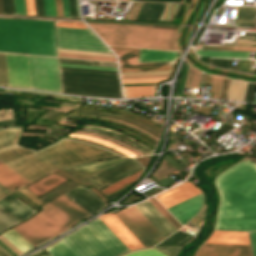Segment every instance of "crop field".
Segmentation results:
<instances>
[{
  "instance_id": "8a807250",
  "label": "crop field",
  "mask_w": 256,
  "mask_h": 256,
  "mask_svg": "<svg viewBox=\"0 0 256 256\" xmlns=\"http://www.w3.org/2000/svg\"><path fill=\"white\" fill-rule=\"evenodd\" d=\"M220 207L216 229L256 230V164L243 161L216 178Z\"/></svg>"
},
{
  "instance_id": "ac0d7876",
  "label": "crop field",
  "mask_w": 256,
  "mask_h": 256,
  "mask_svg": "<svg viewBox=\"0 0 256 256\" xmlns=\"http://www.w3.org/2000/svg\"><path fill=\"white\" fill-rule=\"evenodd\" d=\"M116 156L101 148L64 139L37 153L14 147L0 152V161L29 182L53 168Z\"/></svg>"
},
{
  "instance_id": "34b2d1b8",
  "label": "crop field",
  "mask_w": 256,
  "mask_h": 256,
  "mask_svg": "<svg viewBox=\"0 0 256 256\" xmlns=\"http://www.w3.org/2000/svg\"><path fill=\"white\" fill-rule=\"evenodd\" d=\"M0 51L57 56L53 22L0 19Z\"/></svg>"
},
{
  "instance_id": "412701ff",
  "label": "crop field",
  "mask_w": 256,
  "mask_h": 256,
  "mask_svg": "<svg viewBox=\"0 0 256 256\" xmlns=\"http://www.w3.org/2000/svg\"><path fill=\"white\" fill-rule=\"evenodd\" d=\"M88 216L77 204L62 195L43 205L32 219L13 229L36 246Z\"/></svg>"
},
{
  "instance_id": "f4fd0767",
  "label": "crop field",
  "mask_w": 256,
  "mask_h": 256,
  "mask_svg": "<svg viewBox=\"0 0 256 256\" xmlns=\"http://www.w3.org/2000/svg\"><path fill=\"white\" fill-rule=\"evenodd\" d=\"M108 45L159 50H175V32L171 29L89 25Z\"/></svg>"
},
{
  "instance_id": "dd49c442",
  "label": "crop field",
  "mask_w": 256,
  "mask_h": 256,
  "mask_svg": "<svg viewBox=\"0 0 256 256\" xmlns=\"http://www.w3.org/2000/svg\"><path fill=\"white\" fill-rule=\"evenodd\" d=\"M61 241L75 256H116L129 251L100 218Z\"/></svg>"
},
{
  "instance_id": "e52e79f7",
  "label": "crop field",
  "mask_w": 256,
  "mask_h": 256,
  "mask_svg": "<svg viewBox=\"0 0 256 256\" xmlns=\"http://www.w3.org/2000/svg\"><path fill=\"white\" fill-rule=\"evenodd\" d=\"M32 88L60 93L57 58L28 56Z\"/></svg>"
},
{
  "instance_id": "d8731c3e",
  "label": "crop field",
  "mask_w": 256,
  "mask_h": 256,
  "mask_svg": "<svg viewBox=\"0 0 256 256\" xmlns=\"http://www.w3.org/2000/svg\"><path fill=\"white\" fill-rule=\"evenodd\" d=\"M113 214L144 246L155 245L165 239L135 206Z\"/></svg>"
},
{
  "instance_id": "5a996713",
  "label": "crop field",
  "mask_w": 256,
  "mask_h": 256,
  "mask_svg": "<svg viewBox=\"0 0 256 256\" xmlns=\"http://www.w3.org/2000/svg\"><path fill=\"white\" fill-rule=\"evenodd\" d=\"M58 48L107 52V47L91 30L55 27Z\"/></svg>"
},
{
  "instance_id": "3316defc",
  "label": "crop field",
  "mask_w": 256,
  "mask_h": 256,
  "mask_svg": "<svg viewBox=\"0 0 256 256\" xmlns=\"http://www.w3.org/2000/svg\"><path fill=\"white\" fill-rule=\"evenodd\" d=\"M9 86L31 88L27 56L5 54Z\"/></svg>"
},
{
  "instance_id": "28ad6ade",
  "label": "crop field",
  "mask_w": 256,
  "mask_h": 256,
  "mask_svg": "<svg viewBox=\"0 0 256 256\" xmlns=\"http://www.w3.org/2000/svg\"><path fill=\"white\" fill-rule=\"evenodd\" d=\"M139 169H142V167L138 165L132 158H130L103 169L93 175L109 185Z\"/></svg>"
},
{
  "instance_id": "d1516ede",
  "label": "crop field",
  "mask_w": 256,
  "mask_h": 256,
  "mask_svg": "<svg viewBox=\"0 0 256 256\" xmlns=\"http://www.w3.org/2000/svg\"><path fill=\"white\" fill-rule=\"evenodd\" d=\"M195 256H251L249 246L203 244Z\"/></svg>"
},
{
  "instance_id": "22f410ed",
  "label": "crop field",
  "mask_w": 256,
  "mask_h": 256,
  "mask_svg": "<svg viewBox=\"0 0 256 256\" xmlns=\"http://www.w3.org/2000/svg\"><path fill=\"white\" fill-rule=\"evenodd\" d=\"M200 192L201 191L197 189L192 183L187 182L157 196L156 198L166 208H168Z\"/></svg>"
},
{
  "instance_id": "cbeb9de0",
  "label": "crop field",
  "mask_w": 256,
  "mask_h": 256,
  "mask_svg": "<svg viewBox=\"0 0 256 256\" xmlns=\"http://www.w3.org/2000/svg\"><path fill=\"white\" fill-rule=\"evenodd\" d=\"M71 199L75 200L80 204L84 209H86L91 214L105 206L93 192L87 190L82 186H77L70 191L64 193Z\"/></svg>"
},
{
  "instance_id": "5142ce71",
  "label": "crop field",
  "mask_w": 256,
  "mask_h": 256,
  "mask_svg": "<svg viewBox=\"0 0 256 256\" xmlns=\"http://www.w3.org/2000/svg\"><path fill=\"white\" fill-rule=\"evenodd\" d=\"M202 201L203 197L201 193L195 197H192L186 201L168 208V210L182 225H184L198 212Z\"/></svg>"
},
{
  "instance_id": "d9b57169",
  "label": "crop field",
  "mask_w": 256,
  "mask_h": 256,
  "mask_svg": "<svg viewBox=\"0 0 256 256\" xmlns=\"http://www.w3.org/2000/svg\"><path fill=\"white\" fill-rule=\"evenodd\" d=\"M100 218L130 250L143 246L113 214H108Z\"/></svg>"
},
{
  "instance_id": "733c2abd",
  "label": "crop field",
  "mask_w": 256,
  "mask_h": 256,
  "mask_svg": "<svg viewBox=\"0 0 256 256\" xmlns=\"http://www.w3.org/2000/svg\"><path fill=\"white\" fill-rule=\"evenodd\" d=\"M0 208L20 220H23L36 212L14 197L11 193L0 199Z\"/></svg>"
},
{
  "instance_id": "4a817a6b",
  "label": "crop field",
  "mask_w": 256,
  "mask_h": 256,
  "mask_svg": "<svg viewBox=\"0 0 256 256\" xmlns=\"http://www.w3.org/2000/svg\"><path fill=\"white\" fill-rule=\"evenodd\" d=\"M206 243L249 245L247 232L214 231Z\"/></svg>"
},
{
  "instance_id": "bc2a9ffb",
  "label": "crop field",
  "mask_w": 256,
  "mask_h": 256,
  "mask_svg": "<svg viewBox=\"0 0 256 256\" xmlns=\"http://www.w3.org/2000/svg\"><path fill=\"white\" fill-rule=\"evenodd\" d=\"M21 176V175H20ZM0 162V184L11 190L19 185L29 183Z\"/></svg>"
},
{
  "instance_id": "214f88e0",
  "label": "crop field",
  "mask_w": 256,
  "mask_h": 256,
  "mask_svg": "<svg viewBox=\"0 0 256 256\" xmlns=\"http://www.w3.org/2000/svg\"><path fill=\"white\" fill-rule=\"evenodd\" d=\"M177 56V51L166 52L141 49L138 62L175 61Z\"/></svg>"
},
{
  "instance_id": "92a150f3",
  "label": "crop field",
  "mask_w": 256,
  "mask_h": 256,
  "mask_svg": "<svg viewBox=\"0 0 256 256\" xmlns=\"http://www.w3.org/2000/svg\"><path fill=\"white\" fill-rule=\"evenodd\" d=\"M200 57L249 58V52L194 50Z\"/></svg>"
},
{
  "instance_id": "dafd665d",
  "label": "crop field",
  "mask_w": 256,
  "mask_h": 256,
  "mask_svg": "<svg viewBox=\"0 0 256 256\" xmlns=\"http://www.w3.org/2000/svg\"><path fill=\"white\" fill-rule=\"evenodd\" d=\"M117 55L119 63L137 62L140 49L109 46Z\"/></svg>"
},
{
  "instance_id": "00972430",
  "label": "crop field",
  "mask_w": 256,
  "mask_h": 256,
  "mask_svg": "<svg viewBox=\"0 0 256 256\" xmlns=\"http://www.w3.org/2000/svg\"><path fill=\"white\" fill-rule=\"evenodd\" d=\"M22 253L34 247L13 229L1 234Z\"/></svg>"
},
{
  "instance_id": "a9b5d70f",
  "label": "crop field",
  "mask_w": 256,
  "mask_h": 256,
  "mask_svg": "<svg viewBox=\"0 0 256 256\" xmlns=\"http://www.w3.org/2000/svg\"><path fill=\"white\" fill-rule=\"evenodd\" d=\"M156 86L123 87L124 97H149L155 96Z\"/></svg>"
},
{
  "instance_id": "4177f3b9",
  "label": "crop field",
  "mask_w": 256,
  "mask_h": 256,
  "mask_svg": "<svg viewBox=\"0 0 256 256\" xmlns=\"http://www.w3.org/2000/svg\"><path fill=\"white\" fill-rule=\"evenodd\" d=\"M21 129L0 131V150L16 145Z\"/></svg>"
},
{
  "instance_id": "730fd06b",
  "label": "crop field",
  "mask_w": 256,
  "mask_h": 256,
  "mask_svg": "<svg viewBox=\"0 0 256 256\" xmlns=\"http://www.w3.org/2000/svg\"><path fill=\"white\" fill-rule=\"evenodd\" d=\"M67 136L76 137V138H82V139L90 140V141H93V142H97V143H100V144L105 145L107 147H110V148H112L114 150H117V151H119L121 153H124V154H126L128 156H137V155L131 153L130 151H128V150H126V149H124V148H122V147H120V146H118L116 144H113L111 142L105 141V140L100 139V138H96V137H92V136H88V135H81V134H69Z\"/></svg>"
},
{
  "instance_id": "eef30255",
  "label": "crop field",
  "mask_w": 256,
  "mask_h": 256,
  "mask_svg": "<svg viewBox=\"0 0 256 256\" xmlns=\"http://www.w3.org/2000/svg\"><path fill=\"white\" fill-rule=\"evenodd\" d=\"M142 204L148 209V211L163 225V227L171 234L176 231L169 222L154 208V206L148 201L142 202Z\"/></svg>"
},
{
  "instance_id": "ae1a2a85",
  "label": "crop field",
  "mask_w": 256,
  "mask_h": 256,
  "mask_svg": "<svg viewBox=\"0 0 256 256\" xmlns=\"http://www.w3.org/2000/svg\"><path fill=\"white\" fill-rule=\"evenodd\" d=\"M141 171L142 170H140V171H138V172H136V173H134V174H132V175H130V176H128V177H126V178H124V179L114 183V184H112L111 186H109V187H107V188H105V189H103L101 191L105 195H107V194H109V193H111V192H113V191H115V190H117V189H119V188H121L123 186H126V185L134 182L135 179L137 178V176L140 174Z\"/></svg>"
},
{
  "instance_id": "d3111659",
  "label": "crop field",
  "mask_w": 256,
  "mask_h": 256,
  "mask_svg": "<svg viewBox=\"0 0 256 256\" xmlns=\"http://www.w3.org/2000/svg\"><path fill=\"white\" fill-rule=\"evenodd\" d=\"M46 250L52 256H74L61 241L51 245L50 247L46 248Z\"/></svg>"
},
{
  "instance_id": "750c4746",
  "label": "crop field",
  "mask_w": 256,
  "mask_h": 256,
  "mask_svg": "<svg viewBox=\"0 0 256 256\" xmlns=\"http://www.w3.org/2000/svg\"><path fill=\"white\" fill-rule=\"evenodd\" d=\"M149 201L170 222V224L176 230H178L181 227V225L168 213V211L155 198H151L149 199Z\"/></svg>"
},
{
  "instance_id": "bd1437ed",
  "label": "crop field",
  "mask_w": 256,
  "mask_h": 256,
  "mask_svg": "<svg viewBox=\"0 0 256 256\" xmlns=\"http://www.w3.org/2000/svg\"><path fill=\"white\" fill-rule=\"evenodd\" d=\"M201 72L189 67L184 87H198Z\"/></svg>"
},
{
  "instance_id": "1d83c4d3",
  "label": "crop field",
  "mask_w": 256,
  "mask_h": 256,
  "mask_svg": "<svg viewBox=\"0 0 256 256\" xmlns=\"http://www.w3.org/2000/svg\"><path fill=\"white\" fill-rule=\"evenodd\" d=\"M78 133H84V134H89V135H93V136H97V137H100V138H103V139H106V140H109V141H112L114 143H117L119 145H122L128 149H130L131 151H133L135 154L137 155H144L142 154L140 151L136 150L135 148L131 147L130 145L120 141V140H117V139H114V138H111L109 136H106V135H102V134H97V133H92V132H86V131H76Z\"/></svg>"
},
{
  "instance_id": "120bbe31",
  "label": "crop field",
  "mask_w": 256,
  "mask_h": 256,
  "mask_svg": "<svg viewBox=\"0 0 256 256\" xmlns=\"http://www.w3.org/2000/svg\"><path fill=\"white\" fill-rule=\"evenodd\" d=\"M173 66L174 65L156 66V67H132V68H120V70L121 72L172 70Z\"/></svg>"
},
{
  "instance_id": "d32e631a",
  "label": "crop field",
  "mask_w": 256,
  "mask_h": 256,
  "mask_svg": "<svg viewBox=\"0 0 256 256\" xmlns=\"http://www.w3.org/2000/svg\"><path fill=\"white\" fill-rule=\"evenodd\" d=\"M54 24L55 26H61V27L89 29L83 22H77V21H54Z\"/></svg>"
},
{
  "instance_id": "5866460e",
  "label": "crop field",
  "mask_w": 256,
  "mask_h": 256,
  "mask_svg": "<svg viewBox=\"0 0 256 256\" xmlns=\"http://www.w3.org/2000/svg\"><path fill=\"white\" fill-rule=\"evenodd\" d=\"M0 85L8 86L4 54H0Z\"/></svg>"
},
{
  "instance_id": "028f5c9d",
  "label": "crop field",
  "mask_w": 256,
  "mask_h": 256,
  "mask_svg": "<svg viewBox=\"0 0 256 256\" xmlns=\"http://www.w3.org/2000/svg\"><path fill=\"white\" fill-rule=\"evenodd\" d=\"M6 91H15V92H21V93H28V94L52 96V97L64 98V99L75 100V101L80 100V98H77V97L63 96V95H56V94H48V93H41V92L22 91V90H12V89H7Z\"/></svg>"
},
{
  "instance_id": "e1f06a70",
  "label": "crop field",
  "mask_w": 256,
  "mask_h": 256,
  "mask_svg": "<svg viewBox=\"0 0 256 256\" xmlns=\"http://www.w3.org/2000/svg\"><path fill=\"white\" fill-rule=\"evenodd\" d=\"M59 56L116 61L115 58L58 53Z\"/></svg>"
},
{
  "instance_id": "0bd39190",
  "label": "crop field",
  "mask_w": 256,
  "mask_h": 256,
  "mask_svg": "<svg viewBox=\"0 0 256 256\" xmlns=\"http://www.w3.org/2000/svg\"><path fill=\"white\" fill-rule=\"evenodd\" d=\"M168 78L122 79V83L160 82Z\"/></svg>"
},
{
  "instance_id": "b80d0937",
  "label": "crop field",
  "mask_w": 256,
  "mask_h": 256,
  "mask_svg": "<svg viewBox=\"0 0 256 256\" xmlns=\"http://www.w3.org/2000/svg\"><path fill=\"white\" fill-rule=\"evenodd\" d=\"M58 52L115 57L113 54H107V53H96V52H85V51H74V50H63V49H58Z\"/></svg>"
},
{
  "instance_id": "c035e120",
  "label": "crop field",
  "mask_w": 256,
  "mask_h": 256,
  "mask_svg": "<svg viewBox=\"0 0 256 256\" xmlns=\"http://www.w3.org/2000/svg\"><path fill=\"white\" fill-rule=\"evenodd\" d=\"M187 68H188V65L185 64V66H184V68L182 70L181 76H180V80H179L176 96L181 97V95H182L183 85H184V81H185V77H186Z\"/></svg>"
},
{
  "instance_id": "c21b1889",
  "label": "crop field",
  "mask_w": 256,
  "mask_h": 256,
  "mask_svg": "<svg viewBox=\"0 0 256 256\" xmlns=\"http://www.w3.org/2000/svg\"><path fill=\"white\" fill-rule=\"evenodd\" d=\"M59 65L60 66H65V67H77V68H89V69L117 71V68H109V67H95V66L74 65V64H64V63H59Z\"/></svg>"
},
{
  "instance_id": "03da06ac",
  "label": "crop field",
  "mask_w": 256,
  "mask_h": 256,
  "mask_svg": "<svg viewBox=\"0 0 256 256\" xmlns=\"http://www.w3.org/2000/svg\"><path fill=\"white\" fill-rule=\"evenodd\" d=\"M221 81H222L221 78H217V77H214V76H213V78H212V83H211V87H210V89L215 90L213 97L218 98V96H219V91H220V86H221Z\"/></svg>"
},
{
  "instance_id": "b54c1fbb",
  "label": "crop field",
  "mask_w": 256,
  "mask_h": 256,
  "mask_svg": "<svg viewBox=\"0 0 256 256\" xmlns=\"http://www.w3.org/2000/svg\"><path fill=\"white\" fill-rule=\"evenodd\" d=\"M210 64L216 65L218 67H227L230 68V59H216L210 58Z\"/></svg>"
},
{
  "instance_id": "5d738f31",
  "label": "crop field",
  "mask_w": 256,
  "mask_h": 256,
  "mask_svg": "<svg viewBox=\"0 0 256 256\" xmlns=\"http://www.w3.org/2000/svg\"><path fill=\"white\" fill-rule=\"evenodd\" d=\"M180 247H158L155 248L167 256H176Z\"/></svg>"
},
{
  "instance_id": "d23c7cc5",
  "label": "crop field",
  "mask_w": 256,
  "mask_h": 256,
  "mask_svg": "<svg viewBox=\"0 0 256 256\" xmlns=\"http://www.w3.org/2000/svg\"><path fill=\"white\" fill-rule=\"evenodd\" d=\"M59 62L76 63V64H88V65H99V62L84 61V60H74V59H64V58H59Z\"/></svg>"
},
{
  "instance_id": "425ffa30",
  "label": "crop field",
  "mask_w": 256,
  "mask_h": 256,
  "mask_svg": "<svg viewBox=\"0 0 256 256\" xmlns=\"http://www.w3.org/2000/svg\"><path fill=\"white\" fill-rule=\"evenodd\" d=\"M4 13L15 14L13 0H2Z\"/></svg>"
},
{
  "instance_id": "25e5ab78",
  "label": "crop field",
  "mask_w": 256,
  "mask_h": 256,
  "mask_svg": "<svg viewBox=\"0 0 256 256\" xmlns=\"http://www.w3.org/2000/svg\"><path fill=\"white\" fill-rule=\"evenodd\" d=\"M16 14H26L24 0H14Z\"/></svg>"
},
{
  "instance_id": "73cf0c24",
  "label": "crop field",
  "mask_w": 256,
  "mask_h": 256,
  "mask_svg": "<svg viewBox=\"0 0 256 256\" xmlns=\"http://www.w3.org/2000/svg\"><path fill=\"white\" fill-rule=\"evenodd\" d=\"M19 191L22 194H24L26 197H28L30 200H32L34 203H36L38 206L44 204L43 202H41L37 197H35L32 193H30L26 189H20Z\"/></svg>"
},
{
  "instance_id": "89e229c0",
  "label": "crop field",
  "mask_w": 256,
  "mask_h": 256,
  "mask_svg": "<svg viewBox=\"0 0 256 256\" xmlns=\"http://www.w3.org/2000/svg\"><path fill=\"white\" fill-rule=\"evenodd\" d=\"M167 62H155V63H131V64H119L120 67L129 66H147V65H165Z\"/></svg>"
},
{
  "instance_id": "1f2cbd36",
  "label": "crop field",
  "mask_w": 256,
  "mask_h": 256,
  "mask_svg": "<svg viewBox=\"0 0 256 256\" xmlns=\"http://www.w3.org/2000/svg\"><path fill=\"white\" fill-rule=\"evenodd\" d=\"M36 15H44L42 0H34Z\"/></svg>"
},
{
  "instance_id": "dbb93151",
  "label": "crop field",
  "mask_w": 256,
  "mask_h": 256,
  "mask_svg": "<svg viewBox=\"0 0 256 256\" xmlns=\"http://www.w3.org/2000/svg\"><path fill=\"white\" fill-rule=\"evenodd\" d=\"M26 11L29 15H35L33 0H25Z\"/></svg>"
},
{
  "instance_id": "0fb4a251",
  "label": "crop field",
  "mask_w": 256,
  "mask_h": 256,
  "mask_svg": "<svg viewBox=\"0 0 256 256\" xmlns=\"http://www.w3.org/2000/svg\"><path fill=\"white\" fill-rule=\"evenodd\" d=\"M253 255L256 256V231L255 232H249Z\"/></svg>"
},
{
  "instance_id": "1d79db26",
  "label": "crop field",
  "mask_w": 256,
  "mask_h": 256,
  "mask_svg": "<svg viewBox=\"0 0 256 256\" xmlns=\"http://www.w3.org/2000/svg\"><path fill=\"white\" fill-rule=\"evenodd\" d=\"M253 86L254 84L253 83H249L247 89H246V94H245V99L244 101L246 102H250L251 100V95H252V91H253Z\"/></svg>"
},
{
  "instance_id": "9d1cf04e",
  "label": "crop field",
  "mask_w": 256,
  "mask_h": 256,
  "mask_svg": "<svg viewBox=\"0 0 256 256\" xmlns=\"http://www.w3.org/2000/svg\"><path fill=\"white\" fill-rule=\"evenodd\" d=\"M57 16H63L61 0H55Z\"/></svg>"
},
{
  "instance_id": "447ae74e",
  "label": "crop field",
  "mask_w": 256,
  "mask_h": 256,
  "mask_svg": "<svg viewBox=\"0 0 256 256\" xmlns=\"http://www.w3.org/2000/svg\"><path fill=\"white\" fill-rule=\"evenodd\" d=\"M64 16H70L68 0H62Z\"/></svg>"
},
{
  "instance_id": "0765c3eb",
  "label": "crop field",
  "mask_w": 256,
  "mask_h": 256,
  "mask_svg": "<svg viewBox=\"0 0 256 256\" xmlns=\"http://www.w3.org/2000/svg\"><path fill=\"white\" fill-rule=\"evenodd\" d=\"M71 16H76L75 0H69Z\"/></svg>"
},
{
  "instance_id": "db79e9e6",
  "label": "crop field",
  "mask_w": 256,
  "mask_h": 256,
  "mask_svg": "<svg viewBox=\"0 0 256 256\" xmlns=\"http://www.w3.org/2000/svg\"><path fill=\"white\" fill-rule=\"evenodd\" d=\"M124 256H150V255L145 253L144 251L140 250L138 252L127 254V255H124Z\"/></svg>"
},
{
  "instance_id": "7b73153f",
  "label": "crop field",
  "mask_w": 256,
  "mask_h": 256,
  "mask_svg": "<svg viewBox=\"0 0 256 256\" xmlns=\"http://www.w3.org/2000/svg\"><path fill=\"white\" fill-rule=\"evenodd\" d=\"M144 251L149 253L152 256H165V255L161 254L160 252H158L154 249H147V250H144Z\"/></svg>"
},
{
  "instance_id": "78b8030e",
  "label": "crop field",
  "mask_w": 256,
  "mask_h": 256,
  "mask_svg": "<svg viewBox=\"0 0 256 256\" xmlns=\"http://www.w3.org/2000/svg\"><path fill=\"white\" fill-rule=\"evenodd\" d=\"M51 16H56L54 0H49Z\"/></svg>"
},
{
  "instance_id": "0f1d7ab4",
  "label": "crop field",
  "mask_w": 256,
  "mask_h": 256,
  "mask_svg": "<svg viewBox=\"0 0 256 256\" xmlns=\"http://www.w3.org/2000/svg\"><path fill=\"white\" fill-rule=\"evenodd\" d=\"M43 2H44V11H45V15L50 16L48 0H43Z\"/></svg>"
},
{
  "instance_id": "e1d0b9f6",
  "label": "crop field",
  "mask_w": 256,
  "mask_h": 256,
  "mask_svg": "<svg viewBox=\"0 0 256 256\" xmlns=\"http://www.w3.org/2000/svg\"><path fill=\"white\" fill-rule=\"evenodd\" d=\"M101 66H112V67H117L115 63H107V62H101Z\"/></svg>"
},
{
  "instance_id": "ae633e8c",
  "label": "crop field",
  "mask_w": 256,
  "mask_h": 256,
  "mask_svg": "<svg viewBox=\"0 0 256 256\" xmlns=\"http://www.w3.org/2000/svg\"><path fill=\"white\" fill-rule=\"evenodd\" d=\"M0 191L5 194V193L8 192L9 190H7V189L4 188L2 185H0Z\"/></svg>"
},
{
  "instance_id": "d14b1444",
  "label": "crop field",
  "mask_w": 256,
  "mask_h": 256,
  "mask_svg": "<svg viewBox=\"0 0 256 256\" xmlns=\"http://www.w3.org/2000/svg\"><path fill=\"white\" fill-rule=\"evenodd\" d=\"M0 256H10L4 250L0 248Z\"/></svg>"
},
{
  "instance_id": "c39391a2",
  "label": "crop field",
  "mask_w": 256,
  "mask_h": 256,
  "mask_svg": "<svg viewBox=\"0 0 256 256\" xmlns=\"http://www.w3.org/2000/svg\"><path fill=\"white\" fill-rule=\"evenodd\" d=\"M0 13H3V9H2V1L0 0Z\"/></svg>"
},
{
  "instance_id": "ade564c9",
  "label": "crop field",
  "mask_w": 256,
  "mask_h": 256,
  "mask_svg": "<svg viewBox=\"0 0 256 256\" xmlns=\"http://www.w3.org/2000/svg\"><path fill=\"white\" fill-rule=\"evenodd\" d=\"M1 91H4L5 89L0 88Z\"/></svg>"
},
{
  "instance_id": "c5b07064",
  "label": "crop field",
  "mask_w": 256,
  "mask_h": 256,
  "mask_svg": "<svg viewBox=\"0 0 256 256\" xmlns=\"http://www.w3.org/2000/svg\"><path fill=\"white\" fill-rule=\"evenodd\" d=\"M44 256H51L50 254H48V255H44Z\"/></svg>"
},
{
  "instance_id": "c3a83c6f",
  "label": "crop field",
  "mask_w": 256,
  "mask_h": 256,
  "mask_svg": "<svg viewBox=\"0 0 256 256\" xmlns=\"http://www.w3.org/2000/svg\"><path fill=\"white\" fill-rule=\"evenodd\" d=\"M3 194L0 192V196H2Z\"/></svg>"
}]
</instances>
